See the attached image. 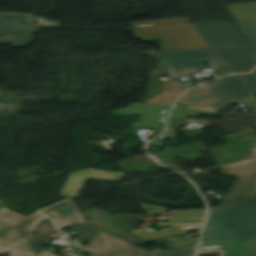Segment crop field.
Instances as JSON below:
<instances>
[{"instance_id":"8a807250","label":"crop field","mask_w":256,"mask_h":256,"mask_svg":"<svg viewBox=\"0 0 256 256\" xmlns=\"http://www.w3.org/2000/svg\"><path fill=\"white\" fill-rule=\"evenodd\" d=\"M159 55L170 76L199 72L201 60H208L218 74L250 72L256 66V46L161 51Z\"/></svg>"},{"instance_id":"ac0d7876","label":"crop field","mask_w":256,"mask_h":256,"mask_svg":"<svg viewBox=\"0 0 256 256\" xmlns=\"http://www.w3.org/2000/svg\"><path fill=\"white\" fill-rule=\"evenodd\" d=\"M256 70L250 74L230 75L214 84L200 85L182 95L179 104L208 109L256 100Z\"/></svg>"},{"instance_id":"34b2d1b8","label":"crop field","mask_w":256,"mask_h":256,"mask_svg":"<svg viewBox=\"0 0 256 256\" xmlns=\"http://www.w3.org/2000/svg\"><path fill=\"white\" fill-rule=\"evenodd\" d=\"M208 220L200 245L256 237L254 208H211Z\"/></svg>"},{"instance_id":"412701ff","label":"crop field","mask_w":256,"mask_h":256,"mask_svg":"<svg viewBox=\"0 0 256 256\" xmlns=\"http://www.w3.org/2000/svg\"><path fill=\"white\" fill-rule=\"evenodd\" d=\"M45 219L38 212L25 217L5 208L0 210V246L24 250L36 254L46 252L31 234L37 224Z\"/></svg>"},{"instance_id":"f4fd0767","label":"crop field","mask_w":256,"mask_h":256,"mask_svg":"<svg viewBox=\"0 0 256 256\" xmlns=\"http://www.w3.org/2000/svg\"><path fill=\"white\" fill-rule=\"evenodd\" d=\"M219 175L238 177L219 207L256 208V159L224 167Z\"/></svg>"},{"instance_id":"dd49c442","label":"crop field","mask_w":256,"mask_h":256,"mask_svg":"<svg viewBox=\"0 0 256 256\" xmlns=\"http://www.w3.org/2000/svg\"><path fill=\"white\" fill-rule=\"evenodd\" d=\"M36 31L38 28L32 15L0 14V44L11 43L14 47L27 46L33 41L31 35Z\"/></svg>"},{"instance_id":"e52e79f7","label":"crop field","mask_w":256,"mask_h":256,"mask_svg":"<svg viewBox=\"0 0 256 256\" xmlns=\"http://www.w3.org/2000/svg\"><path fill=\"white\" fill-rule=\"evenodd\" d=\"M211 47L255 45L235 26L234 22L194 24Z\"/></svg>"},{"instance_id":"d8731c3e","label":"crop field","mask_w":256,"mask_h":256,"mask_svg":"<svg viewBox=\"0 0 256 256\" xmlns=\"http://www.w3.org/2000/svg\"><path fill=\"white\" fill-rule=\"evenodd\" d=\"M171 107L134 103L111 114L142 116L141 123H133L132 129H163Z\"/></svg>"},{"instance_id":"5a996713","label":"crop field","mask_w":256,"mask_h":256,"mask_svg":"<svg viewBox=\"0 0 256 256\" xmlns=\"http://www.w3.org/2000/svg\"><path fill=\"white\" fill-rule=\"evenodd\" d=\"M124 174L125 173L99 171L94 170L93 168L72 172L64 184L60 195L69 197L78 196L81 188L84 186L88 179L121 183Z\"/></svg>"},{"instance_id":"3316defc","label":"crop field","mask_w":256,"mask_h":256,"mask_svg":"<svg viewBox=\"0 0 256 256\" xmlns=\"http://www.w3.org/2000/svg\"><path fill=\"white\" fill-rule=\"evenodd\" d=\"M137 248L102 232L83 251L91 256H126Z\"/></svg>"},{"instance_id":"28ad6ade","label":"crop field","mask_w":256,"mask_h":256,"mask_svg":"<svg viewBox=\"0 0 256 256\" xmlns=\"http://www.w3.org/2000/svg\"><path fill=\"white\" fill-rule=\"evenodd\" d=\"M41 213L51 218L59 229L71 227L85 221L72 199L42 210Z\"/></svg>"},{"instance_id":"d1516ede","label":"crop field","mask_w":256,"mask_h":256,"mask_svg":"<svg viewBox=\"0 0 256 256\" xmlns=\"http://www.w3.org/2000/svg\"><path fill=\"white\" fill-rule=\"evenodd\" d=\"M215 252H222L220 256H256V239L200 246L198 254Z\"/></svg>"},{"instance_id":"22f410ed","label":"crop field","mask_w":256,"mask_h":256,"mask_svg":"<svg viewBox=\"0 0 256 256\" xmlns=\"http://www.w3.org/2000/svg\"><path fill=\"white\" fill-rule=\"evenodd\" d=\"M187 88H189L188 84H178L177 81H167L165 82L164 94L156 95L152 100H148L147 103L172 106L177 96Z\"/></svg>"},{"instance_id":"cbeb9de0","label":"crop field","mask_w":256,"mask_h":256,"mask_svg":"<svg viewBox=\"0 0 256 256\" xmlns=\"http://www.w3.org/2000/svg\"><path fill=\"white\" fill-rule=\"evenodd\" d=\"M235 21L253 20L256 24V2L227 6Z\"/></svg>"},{"instance_id":"5142ce71","label":"crop field","mask_w":256,"mask_h":256,"mask_svg":"<svg viewBox=\"0 0 256 256\" xmlns=\"http://www.w3.org/2000/svg\"><path fill=\"white\" fill-rule=\"evenodd\" d=\"M195 250L196 247L170 251H162L157 248L150 253L139 248L128 256H194Z\"/></svg>"},{"instance_id":"d9b57169","label":"crop field","mask_w":256,"mask_h":256,"mask_svg":"<svg viewBox=\"0 0 256 256\" xmlns=\"http://www.w3.org/2000/svg\"><path fill=\"white\" fill-rule=\"evenodd\" d=\"M200 114L220 116L218 112L191 109V108H174L170 119H187L188 117H199Z\"/></svg>"},{"instance_id":"733c2abd","label":"crop field","mask_w":256,"mask_h":256,"mask_svg":"<svg viewBox=\"0 0 256 256\" xmlns=\"http://www.w3.org/2000/svg\"><path fill=\"white\" fill-rule=\"evenodd\" d=\"M241 30L246 36H248L253 42L256 43V26L253 21L237 22Z\"/></svg>"},{"instance_id":"4a817a6b","label":"crop field","mask_w":256,"mask_h":256,"mask_svg":"<svg viewBox=\"0 0 256 256\" xmlns=\"http://www.w3.org/2000/svg\"><path fill=\"white\" fill-rule=\"evenodd\" d=\"M40 26H53V27H60L59 22H53L51 20L38 18Z\"/></svg>"},{"instance_id":"bc2a9ffb","label":"crop field","mask_w":256,"mask_h":256,"mask_svg":"<svg viewBox=\"0 0 256 256\" xmlns=\"http://www.w3.org/2000/svg\"><path fill=\"white\" fill-rule=\"evenodd\" d=\"M10 256H31V255H27V254L20 253V252H14V253L10 254Z\"/></svg>"},{"instance_id":"214f88e0","label":"crop field","mask_w":256,"mask_h":256,"mask_svg":"<svg viewBox=\"0 0 256 256\" xmlns=\"http://www.w3.org/2000/svg\"><path fill=\"white\" fill-rule=\"evenodd\" d=\"M9 250L0 249V255L8 252Z\"/></svg>"},{"instance_id":"92a150f3","label":"crop field","mask_w":256,"mask_h":256,"mask_svg":"<svg viewBox=\"0 0 256 256\" xmlns=\"http://www.w3.org/2000/svg\"><path fill=\"white\" fill-rule=\"evenodd\" d=\"M43 256H55V255H53V254H51V253H46V254H44Z\"/></svg>"}]
</instances>
